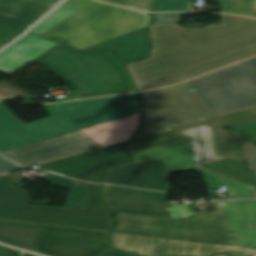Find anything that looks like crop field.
<instances>
[{
    "label": "crop field",
    "mask_w": 256,
    "mask_h": 256,
    "mask_svg": "<svg viewBox=\"0 0 256 256\" xmlns=\"http://www.w3.org/2000/svg\"><path fill=\"white\" fill-rule=\"evenodd\" d=\"M167 194L103 185L102 196L118 213L111 231L238 247L215 202L213 212L179 220L167 218Z\"/></svg>",
    "instance_id": "crop-field-1"
},
{
    "label": "crop field",
    "mask_w": 256,
    "mask_h": 256,
    "mask_svg": "<svg viewBox=\"0 0 256 256\" xmlns=\"http://www.w3.org/2000/svg\"><path fill=\"white\" fill-rule=\"evenodd\" d=\"M58 187L70 189L64 208L29 205L9 175L0 176V218L108 231L109 214L98 196L100 185L60 176L45 177Z\"/></svg>",
    "instance_id": "crop-field-2"
},
{
    "label": "crop field",
    "mask_w": 256,
    "mask_h": 256,
    "mask_svg": "<svg viewBox=\"0 0 256 256\" xmlns=\"http://www.w3.org/2000/svg\"><path fill=\"white\" fill-rule=\"evenodd\" d=\"M251 56L242 45L154 46L150 59L128 66L143 91L179 83Z\"/></svg>",
    "instance_id": "crop-field-3"
},
{
    "label": "crop field",
    "mask_w": 256,
    "mask_h": 256,
    "mask_svg": "<svg viewBox=\"0 0 256 256\" xmlns=\"http://www.w3.org/2000/svg\"><path fill=\"white\" fill-rule=\"evenodd\" d=\"M71 85L75 99L137 91L121 62L108 52L55 45L32 59Z\"/></svg>",
    "instance_id": "crop-field-4"
},
{
    "label": "crop field",
    "mask_w": 256,
    "mask_h": 256,
    "mask_svg": "<svg viewBox=\"0 0 256 256\" xmlns=\"http://www.w3.org/2000/svg\"><path fill=\"white\" fill-rule=\"evenodd\" d=\"M60 7L77 11L42 36L83 49L148 24V13L93 0H65Z\"/></svg>",
    "instance_id": "crop-field-5"
},
{
    "label": "crop field",
    "mask_w": 256,
    "mask_h": 256,
    "mask_svg": "<svg viewBox=\"0 0 256 256\" xmlns=\"http://www.w3.org/2000/svg\"><path fill=\"white\" fill-rule=\"evenodd\" d=\"M45 107L51 117L23 124L0 102V123L37 142L114 120L104 98L64 102Z\"/></svg>",
    "instance_id": "crop-field-6"
},
{
    "label": "crop field",
    "mask_w": 256,
    "mask_h": 256,
    "mask_svg": "<svg viewBox=\"0 0 256 256\" xmlns=\"http://www.w3.org/2000/svg\"><path fill=\"white\" fill-rule=\"evenodd\" d=\"M140 95L143 118L134 138L217 116L187 82Z\"/></svg>",
    "instance_id": "crop-field-7"
},
{
    "label": "crop field",
    "mask_w": 256,
    "mask_h": 256,
    "mask_svg": "<svg viewBox=\"0 0 256 256\" xmlns=\"http://www.w3.org/2000/svg\"><path fill=\"white\" fill-rule=\"evenodd\" d=\"M221 25H150L154 45L242 44L256 55V19L220 14Z\"/></svg>",
    "instance_id": "crop-field-8"
},
{
    "label": "crop field",
    "mask_w": 256,
    "mask_h": 256,
    "mask_svg": "<svg viewBox=\"0 0 256 256\" xmlns=\"http://www.w3.org/2000/svg\"><path fill=\"white\" fill-rule=\"evenodd\" d=\"M188 83L218 116L256 105V75L240 63Z\"/></svg>",
    "instance_id": "crop-field-9"
},
{
    "label": "crop field",
    "mask_w": 256,
    "mask_h": 256,
    "mask_svg": "<svg viewBox=\"0 0 256 256\" xmlns=\"http://www.w3.org/2000/svg\"><path fill=\"white\" fill-rule=\"evenodd\" d=\"M253 119H256V113L252 111L250 108H248L227 115H223L217 118L173 128L142 138L133 139L130 152L133 153L158 145H162L165 143H169L172 141L187 138L179 134L178 132L195 126L197 124L205 123L211 125L214 151L216 155L226 156L240 161H245L243 137L239 136L238 134L232 131H227L222 128L237 123L247 122Z\"/></svg>",
    "instance_id": "crop-field-10"
},
{
    "label": "crop field",
    "mask_w": 256,
    "mask_h": 256,
    "mask_svg": "<svg viewBox=\"0 0 256 256\" xmlns=\"http://www.w3.org/2000/svg\"><path fill=\"white\" fill-rule=\"evenodd\" d=\"M135 163L159 158L172 172L196 170L208 188L226 186L227 199L255 198L254 192L243 185L195 167L190 138L132 154Z\"/></svg>",
    "instance_id": "crop-field-11"
},
{
    "label": "crop field",
    "mask_w": 256,
    "mask_h": 256,
    "mask_svg": "<svg viewBox=\"0 0 256 256\" xmlns=\"http://www.w3.org/2000/svg\"><path fill=\"white\" fill-rule=\"evenodd\" d=\"M112 246L142 256H206L228 252L231 256H253L256 250L133 236L112 232Z\"/></svg>",
    "instance_id": "crop-field-12"
},
{
    "label": "crop field",
    "mask_w": 256,
    "mask_h": 256,
    "mask_svg": "<svg viewBox=\"0 0 256 256\" xmlns=\"http://www.w3.org/2000/svg\"><path fill=\"white\" fill-rule=\"evenodd\" d=\"M129 141L39 166L80 180L100 182L104 167L129 160Z\"/></svg>",
    "instance_id": "crop-field-13"
},
{
    "label": "crop field",
    "mask_w": 256,
    "mask_h": 256,
    "mask_svg": "<svg viewBox=\"0 0 256 256\" xmlns=\"http://www.w3.org/2000/svg\"><path fill=\"white\" fill-rule=\"evenodd\" d=\"M97 147L101 145L79 130L2 154L27 167Z\"/></svg>",
    "instance_id": "crop-field-14"
},
{
    "label": "crop field",
    "mask_w": 256,
    "mask_h": 256,
    "mask_svg": "<svg viewBox=\"0 0 256 256\" xmlns=\"http://www.w3.org/2000/svg\"><path fill=\"white\" fill-rule=\"evenodd\" d=\"M171 173L159 159L131 162L107 169L104 183L172 192L168 182Z\"/></svg>",
    "instance_id": "crop-field-15"
},
{
    "label": "crop field",
    "mask_w": 256,
    "mask_h": 256,
    "mask_svg": "<svg viewBox=\"0 0 256 256\" xmlns=\"http://www.w3.org/2000/svg\"><path fill=\"white\" fill-rule=\"evenodd\" d=\"M216 204L239 247L256 249V200Z\"/></svg>",
    "instance_id": "crop-field-16"
},
{
    "label": "crop field",
    "mask_w": 256,
    "mask_h": 256,
    "mask_svg": "<svg viewBox=\"0 0 256 256\" xmlns=\"http://www.w3.org/2000/svg\"><path fill=\"white\" fill-rule=\"evenodd\" d=\"M61 0H0V24L26 30Z\"/></svg>",
    "instance_id": "crop-field-17"
},
{
    "label": "crop field",
    "mask_w": 256,
    "mask_h": 256,
    "mask_svg": "<svg viewBox=\"0 0 256 256\" xmlns=\"http://www.w3.org/2000/svg\"><path fill=\"white\" fill-rule=\"evenodd\" d=\"M55 44L27 33L0 52V70L12 73Z\"/></svg>",
    "instance_id": "crop-field-18"
},
{
    "label": "crop field",
    "mask_w": 256,
    "mask_h": 256,
    "mask_svg": "<svg viewBox=\"0 0 256 256\" xmlns=\"http://www.w3.org/2000/svg\"><path fill=\"white\" fill-rule=\"evenodd\" d=\"M150 49L146 26L83 50H110L126 63L147 57Z\"/></svg>",
    "instance_id": "crop-field-19"
},
{
    "label": "crop field",
    "mask_w": 256,
    "mask_h": 256,
    "mask_svg": "<svg viewBox=\"0 0 256 256\" xmlns=\"http://www.w3.org/2000/svg\"><path fill=\"white\" fill-rule=\"evenodd\" d=\"M139 115H132L119 120L106 122L82 129L102 146L128 140L138 128Z\"/></svg>",
    "instance_id": "crop-field-20"
},
{
    "label": "crop field",
    "mask_w": 256,
    "mask_h": 256,
    "mask_svg": "<svg viewBox=\"0 0 256 256\" xmlns=\"http://www.w3.org/2000/svg\"><path fill=\"white\" fill-rule=\"evenodd\" d=\"M42 228V224L0 219V242L35 252Z\"/></svg>",
    "instance_id": "crop-field-21"
},
{
    "label": "crop field",
    "mask_w": 256,
    "mask_h": 256,
    "mask_svg": "<svg viewBox=\"0 0 256 256\" xmlns=\"http://www.w3.org/2000/svg\"><path fill=\"white\" fill-rule=\"evenodd\" d=\"M180 133L191 138L196 164L222 158L214 155L209 126L197 125Z\"/></svg>",
    "instance_id": "crop-field-22"
},
{
    "label": "crop field",
    "mask_w": 256,
    "mask_h": 256,
    "mask_svg": "<svg viewBox=\"0 0 256 256\" xmlns=\"http://www.w3.org/2000/svg\"><path fill=\"white\" fill-rule=\"evenodd\" d=\"M244 166L245 163L229 158L200 165L202 168L223 174L256 190V175L243 170Z\"/></svg>",
    "instance_id": "crop-field-23"
},
{
    "label": "crop field",
    "mask_w": 256,
    "mask_h": 256,
    "mask_svg": "<svg viewBox=\"0 0 256 256\" xmlns=\"http://www.w3.org/2000/svg\"><path fill=\"white\" fill-rule=\"evenodd\" d=\"M116 119L139 113L137 93L106 98Z\"/></svg>",
    "instance_id": "crop-field-24"
},
{
    "label": "crop field",
    "mask_w": 256,
    "mask_h": 256,
    "mask_svg": "<svg viewBox=\"0 0 256 256\" xmlns=\"http://www.w3.org/2000/svg\"><path fill=\"white\" fill-rule=\"evenodd\" d=\"M221 12L256 17V0H219Z\"/></svg>",
    "instance_id": "crop-field-25"
},
{
    "label": "crop field",
    "mask_w": 256,
    "mask_h": 256,
    "mask_svg": "<svg viewBox=\"0 0 256 256\" xmlns=\"http://www.w3.org/2000/svg\"><path fill=\"white\" fill-rule=\"evenodd\" d=\"M33 144L0 124V153Z\"/></svg>",
    "instance_id": "crop-field-26"
},
{
    "label": "crop field",
    "mask_w": 256,
    "mask_h": 256,
    "mask_svg": "<svg viewBox=\"0 0 256 256\" xmlns=\"http://www.w3.org/2000/svg\"><path fill=\"white\" fill-rule=\"evenodd\" d=\"M75 11L67 10L64 8L58 7L56 10H54L50 15H48L44 20H42L38 25H36L30 32H33L37 35H41L71 14H73Z\"/></svg>",
    "instance_id": "crop-field-27"
},
{
    "label": "crop field",
    "mask_w": 256,
    "mask_h": 256,
    "mask_svg": "<svg viewBox=\"0 0 256 256\" xmlns=\"http://www.w3.org/2000/svg\"><path fill=\"white\" fill-rule=\"evenodd\" d=\"M189 0H158L153 11H191Z\"/></svg>",
    "instance_id": "crop-field-28"
},
{
    "label": "crop field",
    "mask_w": 256,
    "mask_h": 256,
    "mask_svg": "<svg viewBox=\"0 0 256 256\" xmlns=\"http://www.w3.org/2000/svg\"><path fill=\"white\" fill-rule=\"evenodd\" d=\"M229 130H233L247 140L256 144V120L230 126Z\"/></svg>",
    "instance_id": "crop-field-29"
},
{
    "label": "crop field",
    "mask_w": 256,
    "mask_h": 256,
    "mask_svg": "<svg viewBox=\"0 0 256 256\" xmlns=\"http://www.w3.org/2000/svg\"><path fill=\"white\" fill-rule=\"evenodd\" d=\"M108 3L119 4L129 8L151 11L155 0H101Z\"/></svg>",
    "instance_id": "crop-field-30"
},
{
    "label": "crop field",
    "mask_w": 256,
    "mask_h": 256,
    "mask_svg": "<svg viewBox=\"0 0 256 256\" xmlns=\"http://www.w3.org/2000/svg\"><path fill=\"white\" fill-rule=\"evenodd\" d=\"M16 97H22L24 99L34 98V96L1 81L0 82V99L12 100Z\"/></svg>",
    "instance_id": "crop-field-31"
},
{
    "label": "crop field",
    "mask_w": 256,
    "mask_h": 256,
    "mask_svg": "<svg viewBox=\"0 0 256 256\" xmlns=\"http://www.w3.org/2000/svg\"><path fill=\"white\" fill-rule=\"evenodd\" d=\"M185 14L188 13L153 14L151 24H177Z\"/></svg>",
    "instance_id": "crop-field-32"
},
{
    "label": "crop field",
    "mask_w": 256,
    "mask_h": 256,
    "mask_svg": "<svg viewBox=\"0 0 256 256\" xmlns=\"http://www.w3.org/2000/svg\"><path fill=\"white\" fill-rule=\"evenodd\" d=\"M171 217L182 219L188 215L195 213L194 208L190 204H177L172 206V208H167Z\"/></svg>",
    "instance_id": "crop-field-33"
},
{
    "label": "crop field",
    "mask_w": 256,
    "mask_h": 256,
    "mask_svg": "<svg viewBox=\"0 0 256 256\" xmlns=\"http://www.w3.org/2000/svg\"><path fill=\"white\" fill-rule=\"evenodd\" d=\"M245 152H246V161H247V168L246 170L252 171L256 173V146L250 143L249 141L245 140Z\"/></svg>",
    "instance_id": "crop-field-34"
},
{
    "label": "crop field",
    "mask_w": 256,
    "mask_h": 256,
    "mask_svg": "<svg viewBox=\"0 0 256 256\" xmlns=\"http://www.w3.org/2000/svg\"><path fill=\"white\" fill-rule=\"evenodd\" d=\"M21 33L22 31L0 26V42L7 44Z\"/></svg>",
    "instance_id": "crop-field-35"
},
{
    "label": "crop field",
    "mask_w": 256,
    "mask_h": 256,
    "mask_svg": "<svg viewBox=\"0 0 256 256\" xmlns=\"http://www.w3.org/2000/svg\"><path fill=\"white\" fill-rule=\"evenodd\" d=\"M20 168L21 167L19 165L11 162L10 160H8L0 155V174L9 172L12 170L20 169Z\"/></svg>",
    "instance_id": "crop-field-36"
},
{
    "label": "crop field",
    "mask_w": 256,
    "mask_h": 256,
    "mask_svg": "<svg viewBox=\"0 0 256 256\" xmlns=\"http://www.w3.org/2000/svg\"><path fill=\"white\" fill-rule=\"evenodd\" d=\"M21 251L0 245V256H21Z\"/></svg>",
    "instance_id": "crop-field-37"
},
{
    "label": "crop field",
    "mask_w": 256,
    "mask_h": 256,
    "mask_svg": "<svg viewBox=\"0 0 256 256\" xmlns=\"http://www.w3.org/2000/svg\"><path fill=\"white\" fill-rule=\"evenodd\" d=\"M241 63L245 65L247 68H249L250 70H252L253 72L256 71V57Z\"/></svg>",
    "instance_id": "crop-field-38"
},
{
    "label": "crop field",
    "mask_w": 256,
    "mask_h": 256,
    "mask_svg": "<svg viewBox=\"0 0 256 256\" xmlns=\"http://www.w3.org/2000/svg\"><path fill=\"white\" fill-rule=\"evenodd\" d=\"M24 256H37V255H33V254H30V253H24Z\"/></svg>",
    "instance_id": "crop-field-39"
},
{
    "label": "crop field",
    "mask_w": 256,
    "mask_h": 256,
    "mask_svg": "<svg viewBox=\"0 0 256 256\" xmlns=\"http://www.w3.org/2000/svg\"><path fill=\"white\" fill-rule=\"evenodd\" d=\"M4 46H5L4 44H1V43H0V49H1L2 47H4Z\"/></svg>",
    "instance_id": "crop-field-40"
},
{
    "label": "crop field",
    "mask_w": 256,
    "mask_h": 256,
    "mask_svg": "<svg viewBox=\"0 0 256 256\" xmlns=\"http://www.w3.org/2000/svg\"><path fill=\"white\" fill-rule=\"evenodd\" d=\"M216 256H227L226 254H220V255H216Z\"/></svg>",
    "instance_id": "crop-field-41"
},
{
    "label": "crop field",
    "mask_w": 256,
    "mask_h": 256,
    "mask_svg": "<svg viewBox=\"0 0 256 256\" xmlns=\"http://www.w3.org/2000/svg\"><path fill=\"white\" fill-rule=\"evenodd\" d=\"M251 109H253L256 112V107H252Z\"/></svg>",
    "instance_id": "crop-field-42"
},
{
    "label": "crop field",
    "mask_w": 256,
    "mask_h": 256,
    "mask_svg": "<svg viewBox=\"0 0 256 256\" xmlns=\"http://www.w3.org/2000/svg\"><path fill=\"white\" fill-rule=\"evenodd\" d=\"M255 74H256V72H255Z\"/></svg>",
    "instance_id": "crop-field-43"
},
{
    "label": "crop field",
    "mask_w": 256,
    "mask_h": 256,
    "mask_svg": "<svg viewBox=\"0 0 256 256\" xmlns=\"http://www.w3.org/2000/svg\"><path fill=\"white\" fill-rule=\"evenodd\" d=\"M256 256V255H255Z\"/></svg>",
    "instance_id": "crop-field-44"
}]
</instances>
